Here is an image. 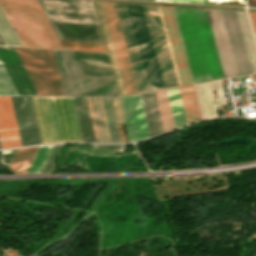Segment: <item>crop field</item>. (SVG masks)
Wrapping results in <instances>:
<instances>
[{"mask_svg":"<svg viewBox=\"0 0 256 256\" xmlns=\"http://www.w3.org/2000/svg\"><path fill=\"white\" fill-rule=\"evenodd\" d=\"M172 8L192 83L225 78L207 10Z\"/></svg>","mask_w":256,"mask_h":256,"instance_id":"8a807250","label":"crop field"},{"mask_svg":"<svg viewBox=\"0 0 256 256\" xmlns=\"http://www.w3.org/2000/svg\"><path fill=\"white\" fill-rule=\"evenodd\" d=\"M53 51L65 96H118L107 54Z\"/></svg>","mask_w":256,"mask_h":256,"instance_id":"ac0d7876","label":"crop field"},{"mask_svg":"<svg viewBox=\"0 0 256 256\" xmlns=\"http://www.w3.org/2000/svg\"><path fill=\"white\" fill-rule=\"evenodd\" d=\"M23 46L62 49L36 0H0Z\"/></svg>","mask_w":256,"mask_h":256,"instance_id":"34b2d1b8","label":"crop field"},{"mask_svg":"<svg viewBox=\"0 0 256 256\" xmlns=\"http://www.w3.org/2000/svg\"><path fill=\"white\" fill-rule=\"evenodd\" d=\"M207 10L225 77L252 74L236 12Z\"/></svg>","mask_w":256,"mask_h":256,"instance_id":"412701ff","label":"crop field"},{"mask_svg":"<svg viewBox=\"0 0 256 256\" xmlns=\"http://www.w3.org/2000/svg\"><path fill=\"white\" fill-rule=\"evenodd\" d=\"M42 143L81 142L71 97H32Z\"/></svg>","mask_w":256,"mask_h":256,"instance_id":"f4fd0767","label":"crop field"},{"mask_svg":"<svg viewBox=\"0 0 256 256\" xmlns=\"http://www.w3.org/2000/svg\"><path fill=\"white\" fill-rule=\"evenodd\" d=\"M93 2H94L97 18H98V21H99V24H100V27H101V31H102V34H103V37H104V40H105V43H106V46H107V49H108V53H109L111 62H112V66H113V70H114V74H115L119 94H120V96H123L124 94L125 95H127V94L128 95L136 94L138 92H137L136 84H135V81H134L133 73H132V70H131L130 62H129V59H128V55H127L126 47H125V44H124L123 36H122V33H121L120 25H119V22H118L117 14H116V11H115L114 3L113 2L102 1L103 6H104V10H105V13H106L107 21H108V24H109L110 32H111V35H112L113 43H114V46H115V50H116V53H117L118 61H119V64H120L121 72H122V75H123L124 83H125V86H126L127 94H126L125 86H124V83H123L122 75H121V72H120L119 64H118V61H117L116 53H115V50H114V46H113V43H112L111 35H110V32H109L108 24H107V21H106L105 13H104V10H103L102 2L99 1L100 6H101V10H102V13H103L104 21H105V24H106L107 32H108V35H109L110 43H111V46H112V50H113V53H114L115 61H116V64H117L118 72H119V75H120L121 83H122V86H123L124 94H123L122 86H121V83H120L119 75H118V72H117L116 64H115V61H114L113 53H112V50H111V46H110V43H109L108 35H107V32H106L105 24H104V21H103L102 13H101V10H100L99 2L98 1H93Z\"/></svg>","mask_w":256,"mask_h":256,"instance_id":"dd49c442","label":"crop field"},{"mask_svg":"<svg viewBox=\"0 0 256 256\" xmlns=\"http://www.w3.org/2000/svg\"><path fill=\"white\" fill-rule=\"evenodd\" d=\"M15 49L38 95L64 96L52 50Z\"/></svg>","mask_w":256,"mask_h":256,"instance_id":"e52e79f7","label":"crop field"},{"mask_svg":"<svg viewBox=\"0 0 256 256\" xmlns=\"http://www.w3.org/2000/svg\"><path fill=\"white\" fill-rule=\"evenodd\" d=\"M48 21L98 24L91 0H38Z\"/></svg>","mask_w":256,"mask_h":256,"instance_id":"d8731c3e","label":"crop field"},{"mask_svg":"<svg viewBox=\"0 0 256 256\" xmlns=\"http://www.w3.org/2000/svg\"><path fill=\"white\" fill-rule=\"evenodd\" d=\"M0 60L19 95H37L14 47L0 46Z\"/></svg>","mask_w":256,"mask_h":256,"instance_id":"5a996713","label":"crop field"},{"mask_svg":"<svg viewBox=\"0 0 256 256\" xmlns=\"http://www.w3.org/2000/svg\"><path fill=\"white\" fill-rule=\"evenodd\" d=\"M129 141L148 138L139 94L120 98Z\"/></svg>","mask_w":256,"mask_h":256,"instance_id":"3316defc","label":"crop field"},{"mask_svg":"<svg viewBox=\"0 0 256 256\" xmlns=\"http://www.w3.org/2000/svg\"><path fill=\"white\" fill-rule=\"evenodd\" d=\"M161 7V11L163 14V18L165 21V25L167 28V32L169 35V39L171 42V46H172V50L174 53V57L176 60V64L178 67V71L180 74V78L182 81V85H190L191 83V79H190V75L188 72V68H187V64H186V60L184 57V53H183V49L181 46V42H180V38H179V34L177 31V27H176V23L174 20V16H173V12H172V8L171 7H165V6H160Z\"/></svg>","mask_w":256,"mask_h":256,"instance_id":"28ad6ade","label":"crop field"},{"mask_svg":"<svg viewBox=\"0 0 256 256\" xmlns=\"http://www.w3.org/2000/svg\"><path fill=\"white\" fill-rule=\"evenodd\" d=\"M0 141L2 148L21 146L10 97H0Z\"/></svg>","mask_w":256,"mask_h":256,"instance_id":"d1516ede","label":"crop field"},{"mask_svg":"<svg viewBox=\"0 0 256 256\" xmlns=\"http://www.w3.org/2000/svg\"><path fill=\"white\" fill-rule=\"evenodd\" d=\"M194 87L202 119L217 117L215 100H218L219 105L225 104L220 81L197 84Z\"/></svg>","mask_w":256,"mask_h":256,"instance_id":"22f410ed","label":"crop field"},{"mask_svg":"<svg viewBox=\"0 0 256 256\" xmlns=\"http://www.w3.org/2000/svg\"><path fill=\"white\" fill-rule=\"evenodd\" d=\"M86 99L96 142H110L100 98Z\"/></svg>","mask_w":256,"mask_h":256,"instance_id":"cbeb9de0","label":"crop field"},{"mask_svg":"<svg viewBox=\"0 0 256 256\" xmlns=\"http://www.w3.org/2000/svg\"><path fill=\"white\" fill-rule=\"evenodd\" d=\"M145 118L150 137L158 136L163 133L157 103L154 92L151 93L152 99H146L145 93L140 94Z\"/></svg>","mask_w":256,"mask_h":256,"instance_id":"5142ce71","label":"crop field"},{"mask_svg":"<svg viewBox=\"0 0 256 256\" xmlns=\"http://www.w3.org/2000/svg\"><path fill=\"white\" fill-rule=\"evenodd\" d=\"M237 12L239 24L241 27L243 39L245 42L248 58L250 61L252 73H256V45L253 39L249 21L246 12Z\"/></svg>","mask_w":256,"mask_h":256,"instance_id":"d9b57169","label":"crop field"},{"mask_svg":"<svg viewBox=\"0 0 256 256\" xmlns=\"http://www.w3.org/2000/svg\"><path fill=\"white\" fill-rule=\"evenodd\" d=\"M184 108L186 122L200 120V113L193 85L179 88Z\"/></svg>","mask_w":256,"mask_h":256,"instance_id":"733c2abd","label":"crop field"},{"mask_svg":"<svg viewBox=\"0 0 256 256\" xmlns=\"http://www.w3.org/2000/svg\"><path fill=\"white\" fill-rule=\"evenodd\" d=\"M164 133L175 129L166 90L155 92Z\"/></svg>","mask_w":256,"mask_h":256,"instance_id":"4a817a6b","label":"crop field"},{"mask_svg":"<svg viewBox=\"0 0 256 256\" xmlns=\"http://www.w3.org/2000/svg\"><path fill=\"white\" fill-rule=\"evenodd\" d=\"M38 147L18 149L8 170L15 173H26Z\"/></svg>","mask_w":256,"mask_h":256,"instance_id":"bc2a9ffb","label":"crop field"},{"mask_svg":"<svg viewBox=\"0 0 256 256\" xmlns=\"http://www.w3.org/2000/svg\"><path fill=\"white\" fill-rule=\"evenodd\" d=\"M176 129L185 125V118L178 88L167 90Z\"/></svg>","mask_w":256,"mask_h":256,"instance_id":"214f88e0","label":"crop field"},{"mask_svg":"<svg viewBox=\"0 0 256 256\" xmlns=\"http://www.w3.org/2000/svg\"><path fill=\"white\" fill-rule=\"evenodd\" d=\"M0 39L4 45L22 46L0 7Z\"/></svg>","mask_w":256,"mask_h":256,"instance_id":"92a150f3","label":"crop field"},{"mask_svg":"<svg viewBox=\"0 0 256 256\" xmlns=\"http://www.w3.org/2000/svg\"><path fill=\"white\" fill-rule=\"evenodd\" d=\"M111 142H120L110 98H101Z\"/></svg>","mask_w":256,"mask_h":256,"instance_id":"dafd665d","label":"crop field"},{"mask_svg":"<svg viewBox=\"0 0 256 256\" xmlns=\"http://www.w3.org/2000/svg\"><path fill=\"white\" fill-rule=\"evenodd\" d=\"M53 145L40 146L27 173H39Z\"/></svg>","mask_w":256,"mask_h":256,"instance_id":"00972430","label":"crop field"},{"mask_svg":"<svg viewBox=\"0 0 256 256\" xmlns=\"http://www.w3.org/2000/svg\"><path fill=\"white\" fill-rule=\"evenodd\" d=\"M0 95H17L1 62H0Z\"/></svg>","mask_w":256,"mask_h":256,"instance_id":"a9b5d70f","label":"crop field"},{"mask_svg":"<svg viewBox=\"0 0 256 256\" xmlns=\"http://www.w3.org/2000/svg\"><path fill=\"white\" fill-rule=\"evenodd\" d=\"M62 145H54L41 172L40 173H49Z\"/></svg>","mask_w":256,"mask_h":256,"instance_id":"4177f3b9","label":"crop field"},{"mask_svg":"<svg viewBox=\"0 0 256 256\" xmlns=\"http://www.w3.org/2000/svg\"><path fill=\"white\" fill-rule=\"evenodd\" d=\"M117 124L124 123L119 98H111Z\"/></svg>","mask_w":256,"mask_h":256,"instance_id":"730fd06b","label":"crop field"},{"mask_svg":"<svg viewBox=\"0 0 256 256\" xmlns=\"http://www.w3.org/2000/svg\"><path fill=\"white\" fill-rule=\"evenodd\" d=\"M15 151H16L15 149L2 151L0 163L8 166Z\"/></svg>","mask_w":256,"mask_h":256,"instance_id":"eef30255","label":"crop field"},{"mask_svg":"<svg viewBox=\"0 0 256 256\" xmlns=\"http://www.w3.org/2000/svg\"><path fill=\"white\" fill-rule=\"evenodd\" d=\"M248 12L250 14V18H251L255 38H256V12H254V11H248Z\"/></svg>","mask_w":256,"mask_h":256,"instance_id":"ae1a2a85","label":"crop field"},{"mask_svg":"<svg viewBox=\"0 0 256 256\" xmlns=\"http://www.w3.org/2000/svg\"><path fill=\"white\" fill-rule=\"evenodd\" d=\"M64 49L106 52L105 50H99V49H87V48H75V47H64Z\"/></svg>","mask_w":256,"mask_h":256,"instance_id":"d3111659","label":"crop field"},{"mask_svg":"<svg viewBox=\"0 0 256 256\" xmlns=\"http://www.w3.org/2000/svg\"><path fill=\"white\" fill-rule=\"evenodd\" d=\"M0 45H3L1 41H0Z\"/></svg>","mask_w":256,"mask_h":256,"instance_id":"750c4746","label":"crop field"},{"mask_svg":"<svg viewBox=\"0 0 256 256\" xmlns=\"http://www.w3.org/2000/svg\"><path fill=\"white\" fill-rule=\"evenodd\" d=\"M150 1H155V0H150Z\"/></svg>","mask_w":256,"mask_h":256,"instance_id":"bd1437ed","label":"crop field"},{"mask_svg":"<svg viewBox=\"0 0 256 256\" xmlns=\"http://www.w3.org/2000/svg\"><path fill=\"white\" fill-rule=\"evenodd\" d=\"M0 148H1V146H0Z\"/></svg>","mask_w":256,"mask_h":256,"instance_id":"1d83c4d3","label":"crop field"}]
</instances>
